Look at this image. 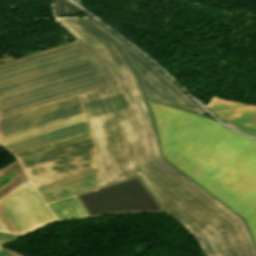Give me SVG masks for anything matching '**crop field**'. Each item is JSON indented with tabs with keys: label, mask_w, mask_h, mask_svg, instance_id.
I'll return each instance as SVG.
<instances>
[{
	"label": "crop field",
	"mask_w": 256,
	"mask_h": 256,
	"mask_svg": "<svg viewBox=\"0 0 256 256\" xmlns=\"http://www.w3.org/2000/svg\"><path fill=\"white\" fill-rule=\"evenodd\" d=\"M96 168L95 147L25 168L35 187Z\"/></svg>",
	"instance_id": "crop-field-7"
},
{
	"label": "crop field",
	"mask_w": 256,
	"mask_h": 256,
	"mask_svg": "<svg viewBox=\"0 0 256 256\" xmlns=\"http://www.w3.org/2000/svg\"><path fill=\"white\" fill-rule=\"evenodd\" d=\"M57 21L115 83L80 95L97 144L99 187L137 175L208 256H256L245 221L161 157L135 75L109 39L78 18Z\"/></svg>",
	"instance_id": "crop-field-1"
},
{
	"label": "crop field",
	"mask_w": 256,
	"mask_h": 256,
	"mask_svg": "<svg viewBox=\"0 0 256 256\" xmlns=\"http://www.w3.org/2000/svg\"><path fill=\"white\" fill-rule=\"evenodd\" d=\"M0 217L2 218L3 222L5 223L9 231L19 233V231L14 226V224L12 223V221L10 220L6 212L1 207V205H0Z\"/></svg>",
	"instance_id": "crop-field-17"
},
{
	"label": "crop field",
	"mask_w": 256,
	"mask_h": 256,
	"mask_svg": "<svg viewBox=\"0 0 256 256\" xmlns=\"http://www.w3.org/2000/svg\"><path fill=\"white\" fill-rule=\"evenodd\" d=\"M0 230L7 231L5 226H4V224H3V222L1 221V219H0Z\"/></svg>",
	"instance_id": "crop-field-20"
},
{
	"label": "crop field",
	"mask_w": 256,
	"mask_h": 256,
	"mask_svg": "<svg viewBox=\"0 0 256 256\" xmlns=\"http://www.w3.org/2000/svg\"><path fill=\"white\" fill-rule=\"evenodd\" d=\"M89 217L129 211H161L137 177L77 195Z\"/></svg>",
	"instance_id": "crop-field-5"
},
{
	"label": "crop field",
	"mask_w": 256,
	"mask_h": 256,
	"mask_svg": "<svg viewBox=\"0 0 256 256\" xmlns=\"http://www.w3.org/2000/svg\"><path fill=\"white\" fill-rule=\"evenodd\" d=\"M16 236H18V235L0 232V238H1V239L11 240V239H13V238L16 237Z\"/></svg>",
	"instance_id": "crop-field-19"
},
{
	"label": "crop field",
	"mask_w": 256,
	"mask_h": 256,
	"mask_svg": "<svg viewBox=\"0 0 256 256\" xmlns=\"http://www.w3.org/2000/svg\"><path fill=\"white\" fill-rule=\"evenodd\" d=\"M97 187L96 169L44 186L37 187V190L46 203L78 193H82Z\"/></svg>",
	"instance_id": "crop-field-10"
},
{
	"label": "crop field",
	"mask_w": 256,
	"mask_h": 256,
	"mask_svg": "<svg viewBox=\"0 0 256 256\" xmlns=\"http://www.w3.org/2000/svg\"><path fill=\"white\" fill-rule=\"evenodd\" d=\"M163 157L244 218L256 242V140L148 101Z\"/></svg>",
	"instance_id": "crop-field-2"
},
{
	"label": "crop field",
	"mask_w": 256,
	"mask_h": 256,
	"mask_svg": "<svg viewBox=\"0 0 256 256\" xmlns=\"http://www.w3.org/2000/svg\"><path fill=\"white\" fill-rule=\"evenodd\" d=\"M77 95L0 118V128L80 105Z\"/></svg>",
	"instance_id": "crop-field-11"
},
{
	"label": "crop field",
	"mask_w": 256,
	"mask_h": 256,
	"mask_svg": "<svg viewBox=\"0 0 256 256\" xmlns=\"http://www.w3.org/2000/svg\"><path fill=\"white\" fill-rule=\"evenodd\" d=\"M56 219L88 217L76 196L47 204Z\"/></svg>",
	"instance_id": "crop-field-15"
},
{
	"label": "crop field",
	"mask_w": 256,
	"mask_h": 256,
	"mask_svg": "<svg viewBox=\"0 0 256 256\" xmlns=\"http://www.w3.org/2000/svg\"><path fill=\"white\" fill-rule=\"evenodd\" d=\"M82 106L73 107L64 111H60L54 114H50L41 118H37L28 122H24L18 125H14L5 129L0 130V137L10 135L16 132H20L29 128H33L39 125H43L52 121H56L65 117H69L75 114L82 113Z\"/></svg>",
	"instance_id": "crop-field-14"
},
{
	"label": "crop field",
	"mask_w": 256,
	"mask_h": 256,
	"mask_svg": "<svg viewBox=\"0 0 256 256\" xmlns=\"http://www.w3.org/2000/svg\"><path fill=\"white\" fill-rule=\"evenodd\" d=\"M6 242H7V240H1V239H0V246L3 245V244L6 243Z\"/></svg>",
	"instance_id": "crop-field-21"
},
{
	"label": "crop field",
	"mask_w": 256,
	"mask_h": 256,
	"mask_svg": "<svg viewBox=\"0 0 256 256\" xmlns=\"http://www.w3.org/2000/svg\"><path fill=\"white\" fill-rule=\"evenodd\" d=\"M91 132L82 133L34 149L14 154L23 168L94 147Z\"/></svg>",
	"instance_id": "crop-field-8"
},
{
	"label": "crop field",
	"mask_w": 256,
	"mask_h": 256,
	"mask_svg": "<svg viewBox=\"0 0 256 256\" xmlns=\"http://www.w3.org/2000/svg\"><path fill=\"white\" fill-rule=\"evenodd\" d=\"M111 83L75 41L30 53L0 64V117Z\"/></svg>",
	"instance_id": "crop-field-3"
},
{
	"label": "crop field",
	"mask_w": 256,
	"mask_h": 256,
	"mask_svg": "<svg viewBox=\"0 0 256 256\" xmlns=\"http://www.w3.org/2000/svg\"><path fill=\"white\" fill-rule=\"evenodd\" d=\"M0 204L20 233L54 220L30 181L3 198Z\"/></svg>",
	"instance_id": "crop-field-6"
},
{
	"label": "crop field",
	"mask_w": 256,
	"mask_h": 256,
	"mask_svg": "<svg viewBox=\"0 0 256 256\" xmlns=\"http://www.w3.org/2000/svg\"><path fill=\"white\" fill-rule=\"evenodd\" d=\"M81 20L107 36L114 43L136 74L147 99L203 115V110L185 91L167 78L128 43L94 19L83 18Z\"/></svg>",
	"instance_id": "crop-field-4"
},
{
	"label": "crop field",
	"mask_w": 256,
	"mask_h": 256,
	"mask_svg": "<svg viewBox=\"0 0 256 256\" xmlns=\"http://www.w3.org/2000/svg\"><path fill=\"white\" fill-rule=\"evenodd\" d=\"M55 17L77 15L72 3L67 0H53Z\"/></svg>",
	"instance_id": "crop-field-16"
},
{
	"label": "crop field",
	"mask_w": 256,
	"mask_h": 256,
	"mask_svg": "<svg viewBox=\"0 0 256 256\" xmlns=\"http://www.w3.org/2000/svg\"><path fill=\"white\" fill-rule=\"evenodd\" d=\"M206 107L217 117L227 121L226 124L256 137V131L229 124V122H231L256 130L255 106L212 97Z\"/></svg>",
	"instance_id": "crop-field-9"
},
{
	"label": "crop field",
	"mask_w": 256,
	"mask_h": 256,
	"mask_svg": "<svg viewBox=\"0 0 256 256\" xmlns=\"http://www.w3.org/2000/svg\"><path fill=\"white\" fill-rule=\"evenodd\" d=\"M85 116L84 114H79V115H75L66 119H62L53 123H49L43 126H39L30 130H26L17 134H13L4 138H0V144L2 146L7 145V144H11L23 139H27L36 135H40L49 131H53L65 126H69L78 122H82L85 121Z\"/></svg>",
	"instance_id": "crop-field-13"
},
{
	"label": "crop field",
	"mask_w": 256,
	"mask_h": 256,
	"mask_svg": "<svg viewBox=\"0 0 256 256\" xmlns=\"http://www.w3.org/2000/svg\"><path fill=\"white\" fill-rule=\"evenodd\" d=\"M87 122L78 123L66 128H62L53 132H49L40 136H36L24 141H20L11 145L4 146L12 154L21 152L30 148H34L43 144H47L56 140H60L69 136H73L82 132L89 131Z\"/></svg>",
	"instance_id": "crop-field-12"
},
{
	"label": "crop field",
	"mask_w": 256,
	"mask_h": 256,
	"mask_svg": "<svg viewBox=\"0 0 256 256\" xmlns=\"http://www.w3.org/2000/svg\"><path fill=\"white\" fill-rule=\"evenodd\" d=\"M0 256H19V255H17V254H15V253H13V252H11V251L2 247L0 249Z\"/></svg>",
	"instance_id": "crop-field-18"
}]
</instances>
